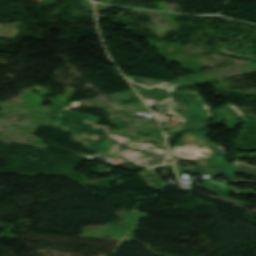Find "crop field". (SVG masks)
Returning <instances> with one entry per match:
<instances>
[{
    "label": "crop field",
    "instance_id": "crop-field-1",
    "mask_svg": "<svg viewBox=\"0 0 256 256\" xmlns=\"http://www.w3.org/2000/svg\"><path fill=\"white\" fill-rule=\"evenodd\" d=\"M51 126L64 128L77 142L98 155L129 158V163L138 164L137 167L149 168L168 164L166 151L157 149L153 144L129 143L130 139L113 136L109 131L81 127L62 122H55Z\"/></svg>",
    "mask_w": 256,
    "mask_h": 256
},
{
    "label": "crop field",
    "instance_id": "crop-field-2",
    "mask_svg": "<svg viewBox=\"0 0 256 256\" xmlns=\"http://www.w3.org/2000/svg\"><path fill=\"white\" fill-rule=\"evenodd\" d=\"M125 76L131 83L144 87L146 90L151 89L153 86L169 89L170 98H163V102L144 98L149 105L164 109L168 114L184 116L181 126L165 125L167 130L176 131L190 126H198L212 116L207 103L200 98L197 92H173V88L178 84Z\"/></svg>",
    "mask_w": 256,
    "mask_h": 256
},
{
    "label": "crop field",
    "instance_id": "crop-field-3",
    "mask_svg": "<svg viewBox=\"0 0 256 256\" xmlns=\"http://www.w3.org/2000/svg\"><path fill=\"white\" fill-rule=\"evenodd\" d=\"M194 161L198 163L197 166L188 168L176 167L178 174L181 175L184 172H189L197 175H223L228 177L232 182H237L233 165L226 164L221 156V153L196 159Z\"/></svg>",
    "mask_w": 256,
    "mask_h": 256
},
{
    "label": "crop field",
    "instance_id": "crop-field-4",
    "mask_svg": "<svg viewBox=\"0 0 256 256\" xmlns=\"http://www.w3.org/2000/svg\"><path fill=\"white\" fill-rule=\"evenodd\" d=\"M100 117L61 109L55 120L71 124L108 130V126L94 125Z\"/></svg>",
    "mask_w": 256,
    "mask_h": 256
},
{
    "label": "crop field",
    "instance_id": "crop-field-5",
    "mask_svg": "<svg viewBox=\"0 0 256 256\" xmlns=\"http://www.w3.org/2000/svg\"><path fill=\"white\" fill-rule=\"evenodd\" d=\"M204 189L217 195L220 198H223L225 200H228L230 202H233L238 205H242L244 203H241L236 200H232L230 198L225 197V195L230 191V192H235V193H240L237 188L229 187L221 182L217 181H212L208 180L206 183L203 185Z\"/></svg>",
    "mask_w": 256,
    "mask_h": 256
},
{
    "label": "crop field",
    "instance_id": "crop-field-6",
    "mask_svg": "<svg viewBox=\"0 0 256 256\" xmlns=\"http://www.w3.org/2000/svg\"><path fill=\"white\" fill-rule=\"evenodd\" d=\"M200 148L208 149L210 151V153L206 154L205 152L200 151L199 150ZM193 151L200 152V153L204 154L205 156L221 152V150H219V149L199 147V146L186 144L183 148L180 147V146H175L172 150V153L174 155H177V156H180V157H183V158H188V159L199 158V156H196V155L191 153Z\"/></svg>",
    "mask_w": 256,
    "mask_h": 256
},
{
    "label": "crop field",
    "instance_id": "crop-field-7",
    "mask_svg": "<svg viewBox=\"0 0 256 256\" xmlns=\"http://www.w3.org/2000/svg\"><path fill=\"white\" fill-rule=\"evenodd\" d=\"M218 115L216 122H223L232 118H246V116L234 105H226L219 110L214 111Z\"/></svg>",
    "mask_w": 256,
    "mask_h": 256
},
{
    "label": "crop field",
    "instance_id": "crop-field-8",
    "mask_svg": "<svg viewBox=\"0 0 256 256\" xmlns=\"http://www.w3.org/2000/svg\"><path fill=\"white\" fill-rule=\"evenodd\" d=\"M206 133L207 132H203V131H192V132H187V133L183 134L182 137L184 140L188 141L187 143H189V144L217 148V145L209 142L205 138Z\"/></svg>",
    "mask_w": 256,
    "mask_h": 256
},
{
    "label": "crop field",
    "instance_id": "crop-field-9",
    "mask_svg": "<svg viewBox=\"0 0 256 256\" xmlns=\"http://www.w3.org/2000/svg\"><path fill=\"white\" fill-rule=\"evenodd\" d=\"M139 175L151 187H155L158 190H161L167 187L164 184V182L161 180V178L154 172L153 169L144 170L143 172L139 173Z\"/></svg>",
    "mask_w": 256,
    "mask_h": 256
},
{
    "label": "crop field",
    "instance_id": "crop-field-10",
    "mask_svg": "<svg viewBox=\"0 0 256 256\" xmlns=\"http://www.w3.org/2000/svg\"><path fill=\"white\" fill-rule=\"evenodd\" d=\"M246 162L247 161H235L234 166H235L236 172L256 176V166H249L246 164ZM237 180L238 182L255 183L250 180H244V179H237Z\"/></svg>",
    "mask_w": 256,
    "mask_h": 256
},
{
    "label": "crop field",
    "instance_id": "crop-field-11",
    "mask_svg": "<svg viewBox=\"0 0 256 256\" xmlns=\"http://www.w3.org/2000/svg\"><path fill=\"white\" fill-rule=\"evenodd\" d=\"M234 157H248V158H252V157H256V153H238V154H234ZM254 159V158H252Z\"/></svg>",
    "mask_w": 256,
    "mask_h": 256
},
{
    "label": "crop field",
    "instance_id": "crop-field-12",
    "mask_svg": "<svg viewBox=\"0 0 256 256\" xmlns=\"http://www.w3.org/2000/svg\"><path fill=\"white\" fill-rule=\"evenodd\" d=\"M248 121H232L229 124H225L227 127H229L230 129L234 128L232 127L233 125L239 124V123H247Z\"/></svg>",
    "mask_w": 256,
    "mask_h": 256
},
{
    "label": "crop field",
    "instance_id": "crop-field-13",
    "mask_svg": "<svg viewBox=\"0 0 256 256\" xmlns=\"http://www.w3.org/2000/svg\"><path fill=\"white\" fill-rule=\"evenodd\" d=\"M242 193H248V194H256V191L254 190H248V189H241Z\"/></svg>",
    "mask_w": 256,
    "mask_h": 256
},
{
    "label": "crop field",
    "instance_id": "crop-field-14",
    "mask_svg": "<svg viewBox=\"0 0 256 256\" xmlns=\"http://www.w3.org/2000/svg\"><path fill=\"white\" fill-rule=\"evenodd\" d=\"M162 167H164V168H167V169H169V170H171L172 172H173V174H175L174 173V169H173V165L172 164H170V165H166V166H162ZM156 168H154V170H155Z\"/></svg>",
    "mask_w": 256,
    "mask_h": 256
},
{
    "label": "crop field",
    "instance_id": "crop-field-15",
    "mask_svg": "<svg viewBox=\"0 0 256 256\" xmlns=\"http://www.w3.org/2000/svg\"><path fill=\"white\" fill-rule=\"evenodd\" d=\"M194 153L197 154V155L203 156L202 154H199V153H197V152H194Z\"/></svg>",
    "mask_w": 256,
    "mask_h": 256
},
{
    "label": "crop field",
    "instance_id": "crop-field-16",
    "mask_svg": "<svg viewBox=\"0 0 256 256\" xmlns=\"http://www.w3.org/2000/svg\"><path fill=\"white\" fill-rule=\"evenodd\" d=\"M201 150H202V149H201ZM203 151H205V152H207V153L209 152V151H207V150H203Z\"/></svg>",
    "mask_w": 256,
    "mask_h": 256
}]
</instances>
